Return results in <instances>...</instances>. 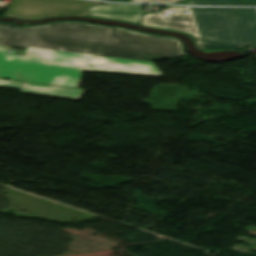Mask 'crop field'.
<instances>
[{"label":"crop field","mask_w":256,"mask_h":256,"mask_svg":"<svg viewBox=\"0 0 256 256\" xmlns=\"http://www.w3.org/2000/svg\"><path fill=\"white\" fill-rule=\"evenodd\" d=\"M99 4L82 0H13L6 15L33 18L53 15H85L89 5Z\"/></svg>","instance_id":"3"},{"label":"crop field","mask_w":256,"mask_h":256,"mask_svg":"<svg viewBox=\"0 0 256 256\" xmlns=\"http://www.w3.org/2000/svg\"><path fill=\"white\" fill-rule=\"evenodd\" d=\"M130 1L177 2V1H179V0H130Z\"/></svg>","instance_id":"10"},{"label":"crop field","mask_w":256,"mask_h":256,"mask_svg":"<svg viewBox=\"0 0 256 256\" xmlns=\"http://www.w3.org/2000/svg\"><path fill=\"white\" fill-rule=\"evenodd\" d=\"M197 5H256V0H189Z\"/></svg>","instance_id":"8"},{"label":"crop field","mask_w":256,"mask_h":256,"mask_svg":"<svg viewBox=\"0 0 256 256\" xmlns=\"http://www.w3.org/2000/svg\"><path fill=\"white\" fill-rule=\"evenodd\" d=\"M143 5H98L89 7L90 15L93 17L123 20L138 24Z\"/></svg>","instance_id":"6"},{"label":"crop field","mask_w":256,"mask_h":256,"mask_svg":"<svg viewBox=\"0 0 256 256\" xmlns=\"http://www.w3.org/2000/svg\"><path fill=\"white\" fill-rule=\"evenodd\" d=\"M22 85L23 83L21 82L0 80V87H10V88L21 89Z\"/></svg>","instance_id":"9"},{"label":"crop field","mask_w":256,"mask_h":256,"mask_svg":"<svg viewBox=\"0 0 256 256\" xmlns=\"http://www.w3.org/2000/svg\"><path fill=\"white\" fill-rule=\"evenodd\" d=\"M83 66L48 64L43 83L77 88Z\"/></svg>","instance_id":"5"},{"label":"crop field","mask_w":256,"mask_h":256,"mask_svg":"<svg viewBox=\"0 0 256 256\" xmlns=\"http://www.w3.org/2000/svg\"><path fill=\"white\" fill-rule=\"evenodd\" d=\"M0 44L27 47L25 56L0 47V78L41 83L47 63L83 65L92 72L160 76L152 61L185 56L179 39L118 27L56 22L34 27L0 23Z\"/></svg>","instance_id":"1"},{"label":"crop field","mask_w":256,"mask_h":256,"mask_svg":"<svg viewBox=\"0 0 256 256\" xmlns=\"http://www.w3.org/2000/svg\"><path fill=\"white\" fill-rule=\"evenodd\" d=\"M84 90L24 83L19 93L80 100Z\"/></svg>","instance_id":"7"},{"label":"crop field","mask_w":256,"mask_h":256,"mask_svg":"<svg viewBox=\"0 0 256 256\" xmlns=\"http://www.w3.org/2000/svg\"><path fill=\"white\" fill-rule=\"evenodd\" d=\"M142 25L185 31L197 39L198 48H203L198 27L191 9H189V14H171L169 20H164V14H150L144 16Z\"/></svg>","instance_id":"4"},{"label":"crop field","mask_w":256,"mask_h":256,"mask_svg":"<svg viewBox=\"0 0 256 256\" xmlns=\"http://www.w3.org/2000/svg\"><path fill=\"white\" fill-rule=\"evenodd\" d=\"M192 10L205 48L232 49L256 44V9Z\"/></svg>","instance_id":"2"}]
</instances>
